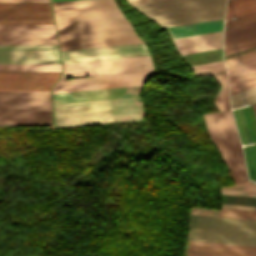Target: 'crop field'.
Segmentation results:
<instances>
[{
  "label": "crop field",
  "mask_w": 256,
  "mask_h": 256,
  "mask_svg": "<svg viewBox=\"0 0 256 256\" xmlns=\"http://www.w3.org/2000/svg\"><path fill=\"white\" fill-rule=\"evenodd\" d=\"M212 76L221 86V90L214 101L215 105L218 107L219 111L230 109L226 73L216 74Z\"/></svg>",
  "instance_id": "crop-field-24"
},
{
  "label": "crop field",
  "mask_w": 256,
  "mask_h": 256,
  "mask_svg": "<svg viewBox=\"0 0 256 256\" xmlns=\"http://www.w3.org/2000/svg\"><path fill=\"white\" fill-rule=\"evenodd\" d=\"M224 12H225V9L187 15V16H181V17H175V18H169V19H163V20H157L156 22L159 23L161 26L166 27V26L224 17Z\"/></svg>",
  "instance_id": "crop-field-18"
},
{
  "label": "crop field",
  "mask_w": 256,
  "mask_h": 256,
  "mask_svg": "<svg viewBox=\"0 0 256 256\" xmlns=\"http://www.w3.org/2000/svg\"><path fill=\"white\" fill-rule=\"evenodd\" d=\"M52 5L61 50L142 42L113 0Z\"/></svg>",
  "instance_id": "crop-field-1"
},
{
  "label": "crop field",
  "mask_w": 256,
  "mask_h": 256,
  "mask_svg": "<svg viewBox=\"0 0 256 256\" xmlns=\"http://www.w3.org/2000/svg\"><path fill=\"white\" fill-rule=\"evenodd\" d=\"M231 95L256 86V73L229 81Z\"/></svg>",
  "instance_id": "crop-field-25"
},
{
  "label": "crop field",
  "mask_w": 256,
  "mask_h": 256,
  "mask_svg": "<svg viewBox=\"0 0 256 256\" xmlns=\"http://www.w3.org/2000/svg\"><path fill=\"white\" fill-rule=\"evenodd\" d=\"M0 124L52 125L51 111H0Z\"/></svg>",
  "instance_id": "crop-field-15"
},
{
  "label": "crop field",
  "mask_w": 256,
  "mask_h": 256,
  "mask_svg": "<svg viewBox=\"0 0 256 256\" xmlns=\"http://www.w3.org/2000/svg\"><path fill=\"white\" fill-rule=\"evenodd\" d=\"M7 2H50V0H0Z\"/></svg>",
  "instance_id": "crop-field-36"
},
{
  "label": "crop field",
  "mask_w": 256,
  "mask_h": 256,
  "mask_svg": "<svg viewBox=\"0 0 256 256\" xmlns=\"http://www.w3.org/2000/svg\"><path fill=\"white\" fill-rule=\"evenodd\" d=\"M238 18L240 20H238L237 18L231 19L232 21L238 20V21H234V22H232L230 20H227V21H230V22L226 21L227 23H226L225 29L229 28V27H233V26L239 25V24H242V23H246V22H249V21H252V20H256V12L248 14V15H245V16H241V17H238Z\"/></svg>",
  "instance_id": "crop-field-31"
},
{
  "label": "crop field",
  "mask_w": 256,
  "mask_h": 256,
  "mask_svg": "<svg viewBox=\"0 0 256 256\" xmlns=\"http://www.w3.org/2000/svg\"><path fill=\"white\" fill-rule=\"evenodd\" d=\"M228 1H231V0H227V2H228Z\"/></svg>",
  "instance_id": "crop-field-40"
},
{
  "label": "crop field",
  "mask_w": 256,
  "mask_h": 256,
  "mask_svg": "<svg viewBox=\"0 0 256 256\" xmlns=\"http://www.w3.org/2000/svg\"><path fill=\"white\" fill-rule=\"evenodd\" d=\"M0 23L54 24L50 3L0 2Z\"/></svg>",
  "instance_id": "crop-field-8"
},
{
  "label": "crop field",
  "mask_w": 256,
  "mask_h": 256,
  "mask_svg": "<svg viewBox=\"0 0 256 256\" xmlns=\"http://www.w3.org/2000/svg\"><path fill=\"white\" fill-rule=\"evenodd\" d=\"M224 18L166 27L173 39L223 30Z\"/></svg>",
  "instance_id": "crop-field-16"
},
{
  "label": "crop field",
  "mask_w": 256,
  "mask_h": 256,
  "mask_svg": "<svg viewBox=\"0 0 256 256\" xmlns=\"http://www.w3.org/2000/svg\"><path fill=\"white\" fill-rule=\"evenodd\" d=\"M0 44L57 45L56 37H11L0 36Z\"/></svg>",
  "instance_id": "crop-field-20"
},
{
  "label": "crop field",
  "mask_w": 256,
  "mask_h": 256,
  "mask_svg": "<svg viewBox=\"0 0 256 256\" xmlns=\"http://www.w3.org/2000/svg\"><path fill=\"white\" fill-rule=\"evenodd\" d=\"M253 46H256V41L245 44V45H241V46H238V47H235V48H232V49L225 50L224 55L229 54V53H233V52H236V51H239V50H243V49H246V48H249V47H253Z\"/></svg>",
  "instance_id": "crop-field-32"
},
{
  "label": "crop field",
  "mask_w": 256,
  "mask_h": 256,
  "mask_svg": "<svg viewBox=\"0 0 256 256\" xmlns=\"http://www.w3.org/2000/svg\"><path fill=\"white\" fill-rule=\"evenodd\" d=\"M254 40H256V36L248 38V39H245V40H241V41H238V42H235V43H232V44L225 45L224 46V50L228 49V48H232V47L238 46V45H241V44H245V43H248V42H251V41H254Z\"/></svg>",
  "instance_id": "crop-field-34"
},
{
  "label": "crop field",
  "mask_w": 256,
  "mask_h": 256,
  "mask_svg": "<svg viewBox=\"0 0 256 256\" xmlns=\"http://www.w3.org/2000/svg\"><path fill=\"white\" fill-rule=\"evenodd\" d=\"M63 63L149 55L144 43L61 51Z\"/></svg>",
  "instance_id": "crop-field-9"
},
{
  "label": "crop field",
  "mask_w": 256,
  "mask_h": 256,
  "mask_svg": "<svg viewBox=\"0 0 256 256\" xmlns=\"http://www.w3.org/2000/svg\"><path fill=\"white\" fill-rule=\"evenodd\" d=\"M244 66H236L228 69V77L229 80L233 78H237L243 75H247L253 72H256V59L245 62Z\"/></svg>",
  "instance_id": "crop-field-28"
},
{
  "label": "crop field",
  "mask_w": 256,
  "mask_h": 256,
  "mask_svg": "<svg viewBox=\"0 0 256 256\" xmlns=\"http://www.w3.org/2000/svg\"><path fill=\"white\" fill-rule=\"evenodd\" d=\"M253 58H256V51L226 59L225 62H226V66H231V65H235L238 62L240 63V62L247 61V60H250Z\"/></svg>",
  "instance_id": "crop-field-30"
},
{
  "label": "crop field",
  "mask_w": 256,
  "mask_h": 256,
  "mask_svg": "<svg viewBox=\"0 0 256 256\" xmlns=\"http://www.w3.org/2000/svg\"><path fill=\"white\" fill-rule=\"evenodd\" d=\"M62 78L154 69L149 56L63 64Z\"/></svg>",
  "instance_id": "crop-field-5"
},
{
  "label": "crop field",
  "mask_w": 256,
  "mask_h": 256,
  "mask_svg": "<svg viewBox=\"0 0 256 256\" xmlns=\"http://www.w3.org/2000/svg\"><path fill=\"white\" fill-rule=\"evenodd\" d=\"M0 63H61L57 46L0 45Z\"/></svg>",
  "instance_id": "crop-field-10"
},
{
  "label": "crop field",
  "mask_w": 256,
  "mask_h": 256,
  "mask_svg": "<svg viewBox=\"0 0 256 256\" xmlns=\"http://www.w3.org/2000/svg\"><path fill=\"white\" fill-rule=\"evenodd\" d=\"M253 110H254V113H255V116H256V104H253Z\"/></svg>",
  "instance_id": "crop-field-38"
},
{
  "label": "crop field",
  "mask_w": 256,
  "mask_h": 256,
  "mask_svg": "<svg viewBox=\"0 0 256 256\" xmlns=\"http://www.w3.org/2000/svg\"><path fill=\"white\" fill-rule=\"evenodd\" d=\"M0 110H51L50 92L0 91Z\"/></svg>",
  "instance_id": "crop-field-12"
},
{
  "label": "crop field",
  "mask_w": 256,
  "mask_h": 256,
  "mask_svg": "<svg viewBox=\"0 0 256 256\" xmlns=\"http://www.w3.org/2000/svg\"><path fill=\"white\" fill-rule=\"evenodd\" d=\"M197 76L225 72L223 62H214L192 67Z\"/></svg>",
  "instance_id": "crop-field-27"
},
{
  "label": "crop field",
  "mask_w": 256,
  "mask_h": 256,
  "mask_svg": "<svg viewBox=\"0 0 256 256\" xmlns=\"http://www.w3.org/2000/svg\"><path fill=\"white\" fill-rule=\"evenodd\" d=\"M187 240L256 246V220L190 215Z\"/></svg>",
  "instance_id": "crop-field-3"
},
{
  "label": "crop field",
  "mask_w": 256,
  "mask_h": 256,
  "mask_svg": "<svg viewBox=\"0 0 256 256\" xmlns=\"http://www.w3.org/2000/svg\"><path fill=\"white\" fill-rule=\"evenodd\" d=\"M222 207H226V208H237V209H248V210H256V207L238 206V205H228V204H223Z\"/></svg>",
  "instance_id": "crop-field-35"
},
{
  "label": "crop field",
  "mask_w": 256,
  "mask_h": 256,
  "mask_svg": "<svg viewBox=\"0 0 256 256\" xmlns=\"http://www.w3.org/2000/svg\"><path fill=\"white\" fill-rule=\"evenodd\" d=\"M223 31L173 40L181 55L222 48Z\"/></svg>",
  "instance_id": "crop-field-14"
},
{
  "label": "crop field",
  "mask_w": 256,
  "mask_h": 256,
  "mask_svg": "<svg viewBox=\"0 0 256 256\" xmlns=\"http://www.w3.org/2000/svg\"><path fill=\"white\" fill-rule=\"evenodd\" d=\"M0 35L12 36H56L54 25H10L0 24Z\"/></svg>",
  "instance_id": "crop-field-17"
},
{
  "label": "crop field",
  "mask_w": 256,
  "mask_h": 256,
  "mask_svg": "<svg viewBox=\"0 0 256 256\" xmlns=\"http://www.w3.org/2000/svg\"><path fill=\"white\" fill-rule=\"evenodd\" d=\"M256 102V87L231 96L232 108ZM247 102V103H243ZM240 103H243L240 105Z\"/></svg>",
  "instance_id": "crop-field-26"
},
{
  "label": "crop field",
  "mask_w": 256,
  "mask_h": 256,
  "mask_svg": "<svg viewBox=\"0 0 256 256\" xmlns=\"http://www.w3.org/2000/svg\"><path fill=\"white\" fill-rule=\"evenodd\" d=\"M61 73L0 72V90L50 91Z\"/></svg>",
  "instance_id": "crop-field-11"
},
{
  "label": "crop field",
  "mask_w": 256,
  "mask_h": 256,
  "mask_svg": "<svg viewBox=\"0 0 256 256\" xmlns=\"http://www.w3.org/2000/svg\"><path fill=\"white\" fill-rule=\"evenodd\" d=\"M255 25H256V21H252V22H249V23H246V24H243V25H239V26H236V27H233V28H229V29L225 30V35L229 34V33L239 31V30H242V29H246V28H249V27H252V26H255ZM255 29H256V26L252 27V28H249V29H246V30H242V31L233 33V34L226 35L225 38L232 37V36L242 34V33L248 32V31H252V30H255ZM255 35H256V30L252 31V32H249V33L239 35V36H235V37H232V38H229V39L224 38L225 39L224 40V45L228 44V43L238 41V40H241V39H245V38H248V37H251V36H255Z\"/></svg>",
  "instance_id": "crop-field-23"
},
{
  "label": "crop field",
  "mask_w": 256,
  "mask_h": 256,
  "mask_svg": "<svg viewBox=\"0 0 256 256\" xmlns=\"http://www.w3.org/2000/svg\"><path fill=\"white\" fill-rule=\"evenodd\" d=\"M204 118L210 136L223 156L232 174L233 181L237 183L247 180L242 149L231 112L208 114L204 115Z\"/></svg>",
  "instance_id": "crop-field-4"
},
{
  "label": "crop field",
  "mask_w": 256,
  "mask_h": 256,
  "mask_svg": "<svg viewBox=\"0 0 256 256\" xmlns=\"http://www.w3.org/2000/svg\"><path fill=\"white\" fill-rule=\"evenodd\" d=\"M57 1H67V0H52V2H57Z\"/></svg>",
  "instance_id": "crop-field-39"
},
{
  "label": "crop field",
  "mask_w": 256,
  "mask_h": 256,
  "mask_svg": "<svg viewBox=\"0 0 256 256\" xmlns=\"http://www.w3.org/2000/svg\"><path fill=\"white\" fill-rule=\"evenodd\" d=\"M0 71L61 72V64H0Z\"/></svg>",
  "instance_id": "crop-field-19"
},
{
  "label": "crop field",
  "mask_w": 256,
  "mask_h": 256,
  "mask_svg": "<svg viewBox=\"0 0 256 256\" xmlns=\"http://www.w3.org/2000/svg\"><path fill=\"white\" fill-rule=\"evenodd\" d=\"M187 252L226 255V256H256V247L189 241ZM187 256H213V255L187 253Z\"/></svg>",
  "instance_id": "crop-field-13"
},
{
  "label": "crop field",
  "mask_w": 256,
  "mask_h": 256,
  "mask_svg": "<svg viewBox=\"0 0 256 256\" xmlns=\"http://www.w3.org/2000/svg\"><path fill=\"white\" fill-rule=\"evenodd\" d=\"M256 11V0H235L227 3L226 20L231 15L240 13L241 15Z\"/></svg>",
  "instance_id": "crop-field-22"
},
{
  "label": "crop field",
  "mask_w": 256,
  "mask_h": 256,
  "mask_svg": "<svg viewBox=\"0 0 256 256\" xmlns=\"http://www.w3.org/2000/svg\"><path fill=\"white\" fill-rule=\"evenodd\" d=\"M136 9L153 20L222 9L225 0H162L134 5Z\"/></svg>",
  "instance_id": "crop-field-7"
},
{
  "label": "crop field",
  "mask_w": 256,
  "mask_h": 256,
  "mask_svg": "<svg viewBox=\"0 0 256 256\" xmlns=\"http://www.w3.org/2000/svg\"><path fill=\"white\" fill-rule=\"evenodd\" d=\"M247 107H248L249 114H250V117H251V120H252V124H253V127H254V131H255V134H256V126H255L256 120H255V116H254V113H253V110H252V106L250 105L251 110H252V113H253V117H254V120H255V123H254V120H253V117H252V113H251L250 107H249V106H247ZM244 108H245V107H244ZM244 108H242V109H243V112H244ZM242 109H241V108H238V109H235V110H236V113H237V116H238V120H239L241 129H242V133H243V136H244V139H245V143L248 144L249 142H251V141H250V137H249V133H248V129H249V132H250V136H251L252 143H254V142H253V138H254V135H255V134L253 135V132H254V131L252 132L253 138H252V135H251V131H252L253 127H252V129H251V131H250V128H251L252 124H251V126H250V128H249V125H250V123H251L250 117H249V120H250L249 125H248L249 120H248V122H247L248 129H247V125H246V121H247V118H248V117L246 118V115H247V113H248V110H247V108H246V110H247L246 115H245L246 110H245V112H244V115H245V118H246V121H245V118H244ZM235 110L233 109L234 116L236 117L235 121H236L238 130H239V134H240L242 143H243V145H245L244 140H243V136H242V133H241V130H240V126H239V123H238V120H237V116H236ZM249 114H248V116H249ZM254 141H255V138H254ZM255 143H256V141H255Z\"/></svg>",
  "instance_id": "crop-field-21"
},
{
  "label": "crop field",
  "mask_w": 256,
  "mask_h": 256,
  "mask_svg": "<svg viewBox=\"0 0 256 256\" xmlns=\"http://www.w3.org/2000/svg\"><path fill=\"white\" fill-rule=\"evenodd\" d=\"M155 70L59 80L52 93L143 84Z\"/></svg>",
  "instance_id": "crop-field-6"
},
{
  "label": "crop field",
  "mask_w": 256,
  "mask_h": 256,
  "mask_svg": "<svg viewBox=\"0 0 256 256\" xmlns=\"http://www.w3.org/2000/svg\"><path fill=\"white\" fill-rule=\"evenodd\" d=\"M221 193L256 196V192H245V191H235V190H225V189H221Z\"/></svg>",
  "instance_id": "crop-field-33"
},
{
  "label": "crop field",
  "mask_w": 256,
  "mask_h": 256,
  "mask_svg": "<svg viewBox=\"0 0 256 256\" xmlns=\"http://www.w3.org/2000/svg\"><path fill=\"white\" fill-rule=\"evenodd\" d=\"M141 85L52 94L53 104L138 96ZM138 97L53 105L54 128L140 120Z\"/></svg>",
  "instance_id": "crop-field-2"
},
{
  "label": "crop field",
  "mask_w": 256,
  "mask_h": 256,
  "mask_svg": "<svg viewBox=\"0 0 256 256\" xmlns=\"http://www.w3.org/2000/svg\"><path fill=\"white\" fill-rule=\"evenodd\" d=\"M131 5L145 3L153 0H128Z\"/></svg>",
  "instance_id": "crop-field-37"
},
{
  "label": "crop field",
  "mask_w": 256,
  "mask_h": 256,
  "mask_svg": "<svg viewBox=\"0 0 256 256\" xmlns=\"http://www.w3.org/2000/svg\"><path fill=\"white\" fill-rule=\"evenodd\" d=\"M250 147H251V153H252V158H253V163H254V168H255V174H256V152H255L256 144H255V147H254V145H250ZM250 147L248 145L249 153H250ZM243 150H244V155H245V160H246V165H247L249 178L253 179L252 178V173H251V168L253 167V163H252V167L250 168V163L252 162V158H251V162L249 163V158L251 157V153H250V157L248 158V153H247L246 146L243 147ZM253 172H254V169H253ZM255 174H254V178H255Z\"/></svg>",
  "instance_id": "crop-field-29"
}]
</instances>
